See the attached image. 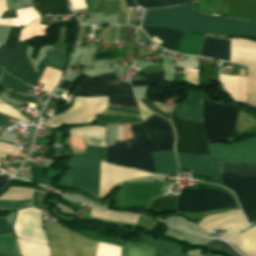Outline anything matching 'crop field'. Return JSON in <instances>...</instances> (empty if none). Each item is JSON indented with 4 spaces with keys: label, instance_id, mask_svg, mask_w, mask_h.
I'll list each match as a JSON object with an SVG mask.
<instances>
[{
    "label": "crop field",
    "instance_id": "crop-field-1",
    "mask_svg": "<svg viewBox=\"0 0 256 256\" xmlns=\"http://www.w3.org/2000/svg\"><path fill=\"white\" fill-rule=\"evenodd\" d=\"M131 128L134 139L108 147L104 161L155 174L152 153L173 149L174 131L170 122L153 115Z\"/></svg>",
    "mask_w": 256,
    "mask_h": 256
},
{
    "label": "crop field",
    "instance_id": "crop-field-2",
    "mask_svg": "<svg viewBox=\"0 0 256 256\" xmlns=\"http://www.w3.org/2000/svg\"><path fill=\"white\" fill-rule=\"evenodd\" d=\"M142 26L165 27L187 32L256 36V23L203 14L197 16L196 3L180 7L145 10Z\"/></svg>",
    "mask_w": 256,
    "mask_h": 256
},
{
    "label": "crop field",
    "instance_id": "crop-field-3",
    "mask_svg": "<svg viewBox=\"0 0 256 256\" xmlns=\"http://www.w3.org/2000/svg\"><path fill=\"white\" fill-rule=\"evenodd\" d=\"M221 185L230 188L248 220L256 219V167L222 162Z\"/></svg>",
    "mask_w": 256,
    "mask_h": 256
},
{
    "label": "crop field",
    "instance_id": "crop-field-4",
    "mask_svg": "<svg viewBox=\"0 0 256 256\" xmlns=\"http://www.w3.org/2000/svg\"><path fill=\"white\" fill-rule=\"evenodd\" d=\"M51 256H95L97 242L83 238L56 222H44Z\"/></svg>",
    "mask_w": 256,
    "mask_h": 256
},
{
    "label": "crop field",
    "instance_id": "crop-field-5",
    "mask_svg": "<svg viewBox=\"0 0 256 256\" xmlns=\"http://www.w3.org/2000/svg\"><path fill=\"white\" fill-rule=\"evenodd\" d=\"M204 132L207 142L230 140L235 136L237 107L201 100Z\"/></svg>",
    "mask_w": 256,
    "mask_h": 256
},
{
    "label": "crop field",
    "instance_id": "crop-field-6",
    "mask_svg": "<svg viewBox=\"0 0 256 256\" xmlns=\"http://www.w3.org/2000/svg\"><path fill=\"white\" fill-rule=\"evenodd\" d=\"M115 73L86 79L75 94L109 96V104L137 108L129 84H114Z\"/></svg>",
    "mask_w": 256,
    "mask_h": 256
},
{
    "label": "crop field",
    "instance_id": "crop-field-7",
    "mask_svg": "<svg viewBox=\"0 0 256 256\" xmlns=\"http://www.w3.org/2000/svg\"><path fill=\"white\" fill-rule=\"evenodd\" d=\"M171 122L176 131V149L178 153L209 157L202 123L179 118L175 107L172 110Z\"/></svg>",
    "mask_w": 256,
    "mask_h": 256
},
{
    "label": "crop field",
    "instance_id": "crop-field-8",
    "mask_svg": "<svg viewBox=\"0 0 256 256\" xmlns=\"http://www.w3.org/2000/svg\"><path fill=\"white\" fill-rule=\"evenodd\" d=\"M231 207H235L234 202L228 194L223 192L212 189H181L177 211L199 212Z\"/></svg>",
    "mask_w": 256,
    "mask_h": 256
},
{
    "label": "crop field",
    "instance_id": "crop-field-9",
    "mask_svg": "<svg viewBox=\"0 0 256 256\" xmlns=\"http://www.w3.org/2000/svg\"><path fill=\"white\" fill-rule=\"evenodd\" d=\"M108 106V97H74L73 106L64 114L52 116L45 125L56 127L65 123H92L94 116Z\"/></svg>",
    "mask_w": 256,
    "mask_h": 256
},
{
    "label": "crop field",
    "instance_id": "crop-field-10",
    "mask_svg": "<svg viewBox=\"0 0 256 256\" xmlns=\"http://www.w3.org/2000/svg\"><path fill=\"white\" fill-rule=\"evenodd\" d=\"M74 155V170L68 169L60 186L81 188L97 197L100 160L87 155Z\"/></svg>",
    "mask_w": 256,
    "mask_h": 256
},
{
    "label": "crop field",
    "instance_id": "crop-field-11",
    "mask_svg": "<svg viewBox=\"0 0 256 256\" xmlns=\"http://www.w3.org/2000/svg\"><path fill=\"white\" fill-rule=\"evenodd\" d=\"M163 183L136 182L122 186L115 196L114 207H142L162 195Z\"/></svg>",
    "mask_w": 256,
    "mask_h": 256
},
{
    "label": "crop field",
    "instance_id": "crop-field-12",
    "mask_svg": "<svg viewBox=\"0 0 256 256\" xmlns=\"http://www.w3.org/2000/svg\"><path fill=\"white\" fill-rule=\"evenodd\" d=\"M210 155L223 161L256 166V138L234 145H210Z\"/></svg>",
    "mask_w": 256,
    "mask_h": 256
},
{
    "label": "crop field",
    "instance_id": "crop-field-13",
    "mask_svg": "<svg viewBox=\"0 0 256 256\" xmlns=\"http://www.w3.org/2000/svg\"><path fill=\"white\" fill-rule=\"evenodd\" d=\"M200 11L256 20V0H201Z\"/></svg>",
    "mask_w": 256,
    "mask_h": 256
},
{
    "label": "crop field",
    "instance_id": "crop-field-14",
    "mask_svg": "<svg viewBox=\"0 0 256 256\" xmlns=\"http://www.w3.org/2000/svg\"><path fill=\"white\" fill-rule=\"evenodd\" d=\"M26 47L20 41H17L15 51L0 45V62L6 67L5 70L31 84L36 73L25 55Z\"/></svg>",
    "mask_w": 256,
    "mask_h": 256
},
{
    "label": "crop field",
    "instance_id": "crop-field-15",
    "mask_svg": "<svg viewBox=\"0 0 256 256\" xmlns=\"http://www.w3.org/2000/svg\"><path fill=\"white\" fill-rule=\"evenodd\" d=\"M14 229L16 235L19 237L47 243L41 222V214L35 209L17 212V220Z\"/></svg>",
    "mask_w": 256,
    "mask_h": 256
},
{
    "label": "crop field",
    "instance_id": "crop-field-16",
    "mask_svg": "<svg viewBox=\"0 0 256 256\" xmlns=\"http://www.w3.org/2000/svg\"><path fill=\"white\" fill-rule=\"evenodd\" d=\"M179 167L193 169L195 173L220 178L221 162L213 158H204L186 154H176Z\"/></svg>",
    "mask_w": 256,
    "mask_h": 256
},
{
    "label": "crop field",
    "instance_id": "crop-field-17",
    "mask_svg": "<svg viewBox=\"0 0 256 256\" xmlns=\"http://www.w3.org/2000/svg\"><path fill=\"white\" fill-rule=\"evenodd\" d=\"M230 54L231 62L256 67V42L232 38Z\"/></svg>",
    "mask_w": 256,
    "mask_h": 256
},
{
    "label": "crop field",
    "instance_id": "crop-field-18",
    "mask_svg": "<svg viewBox=\"0 0 256 256\" xmlns=\"http://www.w3.org/2000/svg\"><path fill=\"white\" fill-rule=\"evenodd\" d=\"M220 81L224 84L225 90L234 101L246 103L247 77L219 75Z\"/></svg>",
    "mask_w": 256,
    "mask_h": 256
},
{
    "label": "crop field",
    "instance_id": "crop-field-19",
    "mask_svg": "<svg viewBox=\"0 0 256 256\" xmlns=\"http://www.w3.org/2000/svg\"><path fill=\"white\" fill-rule=\"evenodd\" d=\"M201 56L229 61V40L205 37Z\"/></svg>",
    "mask_w": 256,
    "mask_h": 256
},
{
    "label": "crop field",
    "instance_id": "crop-field-20",
    "mask_svg": "<svg viewBox=\"0 0 256 256\" xmlns=\"http://www.w3.org/2000/svg\"><path fill=\"white\" fill-rule=\"evenodd\" d=\"M176 109L180 117L202 122L198 92L190 90L188 100L185 103L177 104Z\"/></svg>",
    "mask_w": 256,
    "mask_h": 256
},
{
    "label": "crop field",
    "instance_id": "crop-field-21",
    "mask_svg": "<svg viewBox=\"0 0 256 256\" xmlns=\"http://www.w3.org/2000/svg\"><path fill=\"white\" fill-rule=\"evenodd\" d=\"M69 134L84 137L86 144L100 145L105 147L104 127L87 126L71 128Z\"/></svg>",
    "mask_w": 256,
    "mask_h": 256
},
{
    "label": "crop field",
    "instance_id": "crop-field-22",
    "mask_svg": "<svg viewBox=\"0 0 256 256\" xmlns=\"http://www.w3.org/2000/svg\"><path fill=\"white\" fill-rule=\"evenodd\" d=\"M247 256H256V226L229 240Z\"/></svg>",
    "mask_w": 256,
    "mask_h": 256
},
{
    "label": "crop field",
    "instance_id": "crop-field-23",
    "mask_svg": "<svg viewBox=\"0 0 256 256\" xmlns=\"http://www.w3.org/2000/svg\"><path fill=\"white\" fill-rule=\"evenodd\" d=\"M5 10H7L5 0H0V15ZM16 12L18 19H0V24L8 26H25L39 18V15L32 7L18 9Z\"/></svg>",
    "mask_w": 256,
    "mask_h": 256
},
{
    "label": "crop field",
    "instance_id": "crop-field-24",
    "mask_svg": "<svg viewBox=\"0 0 256 256\" xmlns=\"http://www.w3.org/2000/svg\"><path fill=\"white\" fill-rule=\"evenodd\" d=\"M11 233L8 224L0 219V234ZM0 256H20L16 239L12 234L0 235Z\"/></svg>",
    "mask_w": 256,
    "mask_h": 256
},
{
    "label": "crop field",
    "instance_id": "crop-field-25",
    "mask_svg": "<svg viewBox=\"0 0 256 256\" xmlns=\"http://www.w3.org/2000/svg\"><path fill=\"white\" fill-rule=\"evenodd\" d=\"M33 5L41 15L72 14L68 10L66 0H33Z\"/></svg>",
    "mask_w": 256,
    "mask_h": 256
},
{
    "label": "crop field",
    "instance_id": "crop-field-26",
    "mask_svg": "<svg viewBox=\"0 0 256 256\" xmlns=\"http://www.w3.org/2000/svg\"><path fill=\"white\" fill-rule=\"evenodd\" d=\"M156 173H176L177 163L174 151H166L153 154Z\"/></svg>",
    "mask_w": 256,
    "mask_h": 256
},
{
    "label": "crop field",
    "instance_id": "crop-field-27",
    "mask_svg": "<svg viewBox=\"0 0 256 256\" xmlns=\"http://www.w3.org/2000/svg\"><path fill=\"white\" fill-rule=\"evenodd\" d=\"M239 221L245 224V221L238 210L232 214L206 224L204 227H202V229L210 234L213 229L227 230Z\"/></svg>",
    "mask_w": 256,
    "mask_h": 256
},
{
    "label": "crop field",
    "instance_id": "crop-field-28",
    "mask_svg": "<svg viewBox=\"0 0 256 256\" xmlns=\"http://www.w3.org/2000/svg\"><path fill=\"white\" fill-rule=\"evenodd\" d=\"M17 239L21 256H49V246L37 242Z\"/></svg>",
    "mask_w": 256,
    "mask_h": 256
},
{
    "label": "crop field",
    "instance_id": "crop-field-29",
    "mask_svg": "<svg viewBox=\"0 0 256 256\" xmlns=\"http://www.w3.org/2000/svg\"><path fill=\"white\" fill-rule=\"evenodd\" d=\"M61 73H62L61 71L46 67L39 82L46 84L44 89L51 92L52 89L55 87V85L58 83L61 77Z\"/></svg>",
    "mask_w": 256,
    "mask_h": 256
},
{
    "label": "crop field",
    "instance_id": "crop-field-30",
    "mask_svg": "<svg viewBox=\"0 0 256 256\" xmlns=\"http://www.w3.org/2000/svg\"><path fill=\"white\" fill-rule=\"evenodd\" d=\"M64 60V55L50 49L42 64L62 71Z\"/></svg>",
    "mask_w": 256,
    "mask_h": 256
},
{
    "label": "crop field",
    "instance_id": "crop-field-31",
    "mask_svg": "<svg viewBox=\"0 0 256 256\" xmlns=\"http://www.w3.org/2000/svg\"><path fill=\"white\" fill-rule=\"evenodd\" d=\"M247 103L256 106V70L248 67Z\"/></svg>",
    "mask_w": 256,
    "mask_h": 256
},
{
    "label": "crop field",
    "instance_id": "crop-field-32",
    "mask_svg": "<svg viewBox=\"0 0 256 256\" xmlns=\"http://www.w3.org/2000/svg\"><path fill=\"white\" fill-rule=\"evenodd\" d=\"M34 189L10 187L0 199H24L32 196Z\"/></svg>",
    "mask_w": 256,
    "mask_h": 256
},
{
    "label": "crop field",
    "instance_id": "crop-field-33",
    "mask_svg": "<svg viewBox=\"0 0 256 256\" xmlns=\"http://www.w3.org/2000/svg\"><path fill=\"white\" fill-rule=\"evenodd\" d=\"M0 82L3 84V86L9 89L16 90L23 93H25L28 88V86H26L23 82L19 81L18 79L14 78L13 76H11L6 72L4 73Z\"/></svg>",
    "mask_w": 256,
    "mask_h": 256
},
{
    "label": "crop field",
    "instance_id": "crop-field-34",
    "mask_svg": "<svg viewBox=\"0 0 256 256\" xmlns=\"http://www.w3.org/2000/svg\"><path fill=\"white\" fill-rule=\"evenodd\" d=\"M143 77L147 78L148 80L130 81L132 86H148V85L162 84L163 82L162 71L155 72V73H148L143 75Z\"/></svg>",
    "mask_w": 256,
    "mask_h": 256
},
{
    "label": "crop field",
    "instance_id": "crop-field-35",
    "mask_svg": "<svg viewBox=\"0 0 256 256\" xmlns=\"http://www.w3.org/2000/svg\"><path fill=\"white\" fill-rule=\"evenodd\" d=\"M204 247L211 250L224 252L230 256H240L234 249H232L230 246L222 241L213 240L204 244Z\"/></svg>",
    "mask_w": 256,
    "mask_h": 256
},
{
    "label": "crop field",
    "instance_id": "crop-field-36",
    "mask_svg": "<svg viewBox=\"0 0 256 256\" xmlns=\"http://www.w3.org/2000/svg\"><path fill=\"white\" fill-rule=\"evenodd\" d=\"M96 256H120V248L98 242Z\"/></svg>",
    "mask_w": 256,
    "mask_h": 256
},
{
    "label": "crop field",
    "instance_id": "crop-field-37",
    "mask_svg": "<svg viewBox=\"0 0 256 256\" xmlns=\"http://www.w3.org/2000/svg\"><path fill=\"white\" fill-rule=\"evenodd\" d=\"M31 199L25 201H0V210L22 209L30 207Z\"/></svg>",
    "mask_w": 256,
    "mask_h": 256
},
{
    "label": "crop field",
    "instance_id": "crop-field-38",
    "mask_svg": "<svg viewBox=\"0 0 256 256\" xmlns=\"http://www.w3.org/2000/svg\"><path fill=\"white\" fill-rule=\"evenodd\" d=\"M21 28H16V27H11L9 34L7 36L6 42H5V46L11 48V49H15L16 46V41H17V35L18 32Z\"/></svg>",
    "mask_w": 256,
    "mask_h": 256
},
{
    "label": "crop field",
    "instance_id": "crop-field-39",
    "mask_svg": "<svg viewBox=\"0 0 256 256\" xmlns=\"http://www.w3.org/2000/svg\"><path fill=\"white\" fill-rule=\"evenodd\" d=\"M0 113L10 116V117H13V118H16V119H19L27 124L29 123V121L26 120L22 115L18 114L16 112V110L9 108L1 103H0Z\"/></svg>",
    "mask_w": 256,
    "mask_h": 256
},
{
    "label": "crop field",
    "instance_id": "crop-field-40",
    "mask_svg": "<svg viewBox=\"0 0 256 256\" xmlns=\"http://www.w3.org/2000/svg\"><path fill=\"white\" fill-rule=\"evenodd\" d=\"M153 250L127 246L126 256H152Z\"/></svg>",
    "mask_w": 256,
    "mask_h": 256
},
{
    "label": "crop field",
    "instance_id": "crop-field-41",
    "mask_svg": "<svg viewBox=\"0 0 256 256\" xmlns=\"http://www.w3.org/2000/svg\"><path fill=\"white\" fill-rule=\"evenodd\" d=\"M19 151L20 150L14 146L0 143V158L5 159L6 153L8 155L17 156Z\"/></svg>",
    "mask_w": 256,
    "mask_h": 256
},
{
    "label": "crop field",
    "instance_id": "crop-field-42",
    "mask_svg": "<svg viewBox=\"0 0 256 256\" xmlns=\"http://www.w3.org/2000/svg\"><path fill=\"white\" fill-rule=\"evenodd\" d=\"M88 152H90L92 155L100 158L102 161L104 159L105 155V148L99 147V146H91V145H86Z\"/></svg>",
    "mask_w": 256,
    "mask_h": 256
},
{
    "label": "crop field",
    "instance_id": "crop-field-43",
    "mask_svg": "<svg viewBox=\"0 0 256 256\" xmlns=\"http://www.w3.org/2000/svg\"><path fill=\"white\" fill-rule=\"evenodd\" d=\"M244 228V225L240 222L231 227L229 230H227L223 235L220 236L221 239H227L230 236L234 235L238 231L242 230Z\"/></svg>",
    "mask_w": 256,
    "mask_h": 256
},
{
    "label": "crop field",
    "instance_id": "crop-field-44",
    "mask_svg": "<svg viewBox=\"0 0 256 256\" xmlns=\"http://www.w3.org/2000/svg\"><path fill=\"white\" fill-rule=\"evenodd\" d=\"M89 11H103V0H87Z\"/></svg>",
    "mask_w": 256,
    "mask_h": 256
},
{
    "label": "crop field",
    "instance_id": "crop-field-45",
    "mask_svg": "<svg viewBox=\"0 0 256 256\" xmlns=\"http://www.w3.org/2000/svg\"><path fill=\"white\" fill-rule=\"evenodd\" d=\"M138 5L143 8H159L160 3L159 0H137Z\"/></svg>",
    "mask_w": 256,
    "mask_h": 256
},
{
    "label": "crop field",
    "instance_id": "crop-field-46",
    "mask_svg": "<svg viewBox=\"0 0 256 256\" xmlns=\"http://www.w3.org/2000/svg\"><path fill=\"white\" fill-rule=\"evenodd\" d=\"M140 101H141L147 108H149L151 111H153V112H155V113H157V114H159V115H161V116H163V117L169 119L170 113H169V114H164V113L160 112V111L155 107V105H154L151 101H149V100H147V99H142V100H140ZM169 120H170V119H169Z\"/></svg>",
    "mask_w": 256,
    "mask_h": 256
},
{
    "label": "crop field",
    "instance_id": "crop-field-47",
    "mask_svg": "<svg viewBox=\"0 0 256 256\" xmlns=\"http://www.w3.org/2000/svg\"><path fill=\"white\" fill-rule=\"evenodd\" d=\"M7 94L9 97L17 99L21 102L34 103L32 97H24V96H21V95L12 93V92H8V91H7Z\"/></svg>",
    "mask_w": 256,
    "mask_h": 256
},
{
    "label": "crop field",
    "instance_id": "crop-field-48",
    "mask_svg": "<svg viewBox=\"0 0 256 256\" xmlns=\"http://www.w3.org/2000/svg\"><path fill=\"white\" fill-rule=\"evenodd\" d=\"M234 211L235 210L229 211V212H225V213H222V214H218V215L208 216V217L204 218L203 220H201L199 222V226L201 227V226L205 225L206 223H208V222H210V221H212V220H214L216 218H219V217L224 216L226 214L232 213Z\"/></svg>",
    "mask_w": 256,
    "mask_h": 256
},
{
    "label": "crop field",
    "instance_id": "crop-field-49",
    "mask_svg": "<svg viewBox=\"0 0 256 256\" xmlns=\"http://www.w3.org/2000/svg\"><path fill=\"white\" fill-rule=\"evenodd\" d=\"M108 109L109 110H115V111H120V112H126V113H131V114L139 115V112L136 109L123 108V107H114V106H109Z\"/></svg>",
    "mask_w": 256,
    "mask_h": 256
},
{
    "label": "crop field",
    "instance_id": "crop-field-50",
    "mask_svg": "<svg viewBox=\"0 0 256 256\" xmlns=\"http://www.w3.org/2000/svg\"><path fill=\"white\" fill-rule=\"evenodd\" d=\"M73 10L87 8L85 0H70Z\"/></svg>",
    "mask_w": 256,
    "mask_h": 256
},
{
    "label": "crop field",
    "instance_id": "crop-field-51",
    "mask_svg": "<svg viewBox=\"0 0 256 256\" xmlns=\"http://www.w3.org/2000/svg\"><path fill=\"white\" fill-rule=\"evenodd\" d=\"M36 191H37V190H36ZM38 192H39V191H38ZM38 192H35V193H34L32 206L42 205L43 193H38Z\"/></svg>",
    "mask_w": 256,
    "mask_h": 256
},
{
    "label": "crop field",
    "instance_id": "crop-field-52",
    "mask_svg": "<svg viewBox=\"0 0 256 256\" xmlns=\"http://www.w3.org/2000/svg\"><path fill=\"white\" fill-rule=\"evenodd\" d=\"M191 1H194V0H187V2H191ZM160 3L162 7L179 5L178 0H160Z\"/></svg>",
    "mask_w": 256,
    "mask_h": 256
},
{
    "label": "crop field",
    "instance_id": "crop-field-53",
    "mask_svg": "<svg viewBox=\"0 0 256 256\" xmlns=\"http://www.w3.org/2000/svg\"><path fill=\"white\" fill-rule=\"evenodd\" d=\"M134 32H135V28L126 29V41H135Z\"/></svg>",
    "mask_w": 256,
    "mask_h": 256
},
{
    "label": "crop field",
    "instance_id": "crop-field-54",
    "mask_svg": "<svg viewBox=\"0 0 256 256\" xmlns=\"http://www.w3.org/2000/svg\"><path fill=\"white\" fill-rule=\"evenodd\" d=\"M44 69H45V66L42 65L41 68L39 69V71L37 72L32 84H31L32 86H34V87L36 86V84H37L41 74L43 73Z\"/></svg>",
    "mask_w": 256,
    "mask_h": 256
},
{
    "label": "crop field",
    "instance_id": "crop-field-55",
    "mask_svg": "<svg viewBox=\"0 0 256 256\" xmlns=\"http://www.w3.org/2000/svg\"><path fill=\"white\" fill-rule=\"evenodd\" d=\"M118 141L124 139L123 126L117 125Z\"/></svg>",
    "mask_w": 256,
    "mask_h": 256
},
{
    "label": "crop field",
    "instance_id": "crop-field-56",
    "mask_svg": "<svg viewBox=\"0 0 256 256\" xmlns=\"http://www.w3.org/2000/svg\"><path fill=\"white\" fill-rule=\"evenodd\" d=\"M6 119H7V116H4V115L0 114V127Z\"/></svg>",
    "mask_w": 256,
    "mask_h": 256
},
{
    "label": "crop field",
    "instance_id": "crop-field-57",
    "mask_svg": "<svg viewBox=\"0 0 256 256\" xmlns=\"http://www.w3.org/2000/svg\"><path fill=\"white\" fill-rule=\"evenodd\" d=\"M118 120L119 118H117V123H118ZM123 118H120L119 122H122ZM125 120V119H124ZM124 120H123V123H124ZM126 120H130V119H126ZM133 121H139V120H133ZM125 123H136V122H128V121H125Z\"/></svg>",
    "mask_w": 256,
    "mask_h": 256
},
{
    "label": "crop field",
    "instance_id": "crop-field-58",
    "mask_svg": "<svg viewBox=\"0 0 256 256\" xmlns=\"http://www.w3.org/2000/svg\"><path fill=\"white\" fill-rule=\"evenodd\" d=\"M126 2H127V4H128V7L134 6L133 0H126Z\"/></svg>",
    "mask_w": 256,
    "mask_h": 256
},
{
    "label": "crop field",
    "instance_id": "crop-field-59",
    "mask_svg": "<svg viewBox=\"0 0 256 256\" xmlns=\"http://www.w3.org/2000/svg\"><path fill=\"white\" fill-rule=\"evenodd\" d=\"M7 179H8V177L0 176V182H3V181H5V180H7Z\"/></svg>",
    "mask_w": 256,
    "mask_h": 256
},
{
    "label": "crop field",
    "instance_id": "crop-field-60",
    "mask_svg": "<svg viewBox=\"0 0 256 256\" xmlns=\"http://www.w3.org/2000/svg\"><path fill=\"white\" fill-rule=\"evenodd\" d=\"M186 0H179V3L182 4V3H185Z\"/></svg>",
    "mask_w": 256,
    "mask_h": 256
},
{
    "label": "crop field",
    "instance_id": "crop-field-61",
    "mask_svg": "<svg viewBox=\"0 0 256 256\" xmlns=\"http://www.w3.org/2000/svg\"><path fill=\"white\" fill-rule=\"evenodd\" d=\"M0 162H3V163H9V162H7V161H4V160H0Z\"/></svg>",
    "mask_w": 256,
    "mask_h": 256
},
{
    "label": "crop field",
    "instance_id": "crop-field-62",
    "mask_svg": "<svg viewBox=\"0 0 256 256\" xmlns=\"http://www.w3.org/2000/svg\"><path fill=\"white\" fill-rule=\"evenodd\" d=\"M2 68L0 67V72H1Z\"/></svg>",
    "mask_w": 256,
    "mask_h": 256
},
{
    "label": "crop field",
    "instance_id": "crop-field-63",
    "mask_svg": "<svg viewBox=\"0 0 256 256\" xmlns=\"http://www.w3.org/2000/svg\"><path fill=\"white\" fill-rule=\"evenodd\" d=\"M206 256H210L209 254H207Z\"/></svg>",
    "mask_w": 256,
    "mask_h": 256
},
{
    "label": "crop field",
    "instance_id": "crop-field-64",
    "mask_svg": "<svg viewBox=\"0 0 256 256\" xmlns=\"http://www.w3.org/2000/svg\"><path fill=\"white\" fill-rule=\"evenodd\" d=\"M163 29H165V28H163Z\"/></svg>",
    "mask_w": 256,
    "mask_h": 256
}]
</instances>
